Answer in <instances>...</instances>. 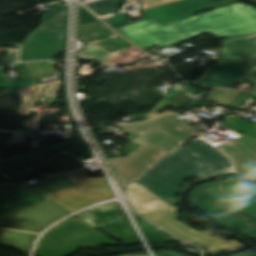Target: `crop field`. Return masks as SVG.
<instances>
[{"mask_svg": "<svg viewBox=\"0 0 256 256\" xmlns=\"http://www.w3.org/2000/svg\"><path fill=\"white\" fill-rule=\"evenodd\" d=\"M115 30L145 50L155 43L165 47L205 32L225 37L256 32V9L238 3L166 26L151 19Z\"/></svg>", "mask_w": 256, "mask_h": 256, "instance_id": "obj_1", "label": "crop field"}, {"mask_svg": "<svg viewBox=\"0 0 256 256\" xmlns=\"http://www.w3.org/2000/svg\"><path fill=\"white\" fill-rule=\"evenodd\" d=\"M190 177H209L196 157L181 148L165 157L136 183L164 201L175 202L179 185Z\"/></svg>", "mask_w": 256, "mask_h": 256, "instance_id": "obj_2", "label": "crop field"}, {"mask_svg": "<svg viewBox=\"0 0 256 256\" xmlns=\"http://www.w3.org/2000/svg\"><path fill=\"white\" fill-rule=\"evenodd\" d=\"M119 245L80 218L67 219L40 240L35 256H68L79 247Z\"/></svg>", "mask_w": 256, "mask_h": 256, "instance_id": "obj_3", "label": "crop field"}, {"mask_svg": "<svg viewBox=\"0 0 256 256\" xmlns=\"http://www.w3.org/2000/svg\"><path fill=\"white\" fill-rule=\"evenodd\" d=\"M37 189L9 183L0 185V216L47 200L44 195L75 186L67 174L48 178Z\"/></svg>", "mask_w": 256, "mask_h": 256, "instance_id": "obj_4", "label": "crop field"}, {"mask_svg": "<svg viewBox=\"0 0 256 256\" xmlns=\"http://www.w3.org/2000/svg\"><path fill=\"white\" fill-rule=\"evenodd\" d=\"M192 205L226 229L234 228L256 239V216L239 210L221 200L190 190ZM256 256V253L250 255Z\"/></svg>", "mask_w": 256, "mask_h": 256, "instance_id": "obj_5", "label": "crop field"}, {"mask_svg": "<svg viewBox=\"0 0 256 256\" xmlns=\"http://www.w3.org/2000/svg\"><path fill=\"white\" fill-rule=\"evenodd\" d=\"M68 175L77 186L46 196L71 212L112 196L104 178H89L84 170Z\"/></svg>", "mask_w": 256, "mask_h": 256, "instance_id": "obj_6", "label": "crop field"}, {"mask_svg": "<svg viewBox=\"0 0 256 256\" xmlns=\"http://www.w3.org/2000/svg\"><path fill=\"white\" fill-rule=\"evenodd\" d=\"M176 207L170 204H162L153 213L144 215L143 217L158 224L167 232L191 242H195L203 246L208 254L221 252L225 250L236 249L240 244L234 240L224 241L222 239H215L196 232L176 221ZM157 225V226H158Z\"/></svg>", "mask_w": 256, "mask_h": 256, "instance_id": "obj_7", "label": "crop field"}, {"mask_svg": "<svg viewBox=\"0 0 256 256\" xmlns=\"http://www.w3.org/2000/svg\"><path fill=\"white\" fill-rule=\"evenodd\" d=\"M50 200L0 217V227L39 233L51 223L69 214Z\"/></svg>", "mask_w": 256, "mask_h": 256, "instance_id": "obj_8", "label": "crop field"}, {"mask_svg": "<svg viewBox=\"0 0 256 256\" xmlns=\"http://www.w3.org/2000/svg\"><path fill=\"white\" fill-rule=\"evenodd\" d=\"M234 0H180L156 8L143 11L144 18L133 21L155 18L164 25L175 22L177 20L191 16L193 12L204 10L208 7L230 3ZM209 9V8H208ZM107 24L113 29L123 25L130 24L124 13H119L116 16L106 20Z\"/></svg>", "mask_w": 256, "mask_h": 256, "instance_id": "obj_9", "label": "crop field"}, {"mask_svg": "<svg viewBox=\"0 0 256 256\" xmlns=\"http://www.w3.org/2000/svg\"><path fill=\"white\" fill-rule=\"evenodd\" d=\"M168 154L170 153L141 146L127 157L112 158L108 161L123 185L130 187Z\"/></svg>", "mask_w": 256, "mask_h": 256, "instance_id": "obj_10", "label": "crop field"}, {"mask_svg": "<svg viewBox=\"0 0 256 256\" xmlns=\"http://www.w3.org/2000/svg\"><path fill=\"white\" fill-rule=\"evenodd\" d=\"M77 216L125 244L138 243L116 204L94 207L78 213Z\"/></svg>", "mask_w": 256, "mask_h": 256, "instance_id": "obj_11", "label": "crop field"}, {"mask_svg": "<svg viewBox=\"0 0 256 256\" xmlns=\"http://www.w3.org/2000/svg\"><path fill=\"white\" fill-rule=\"evenodd\" d=\"M63 41L64 31H33L22 43L20 60L53 58L63 51Z\"/></svg>", "mask_w": 256, "mask_h": 256, "instance_id": "obj_12", "label": "crop field"}, {"mask_svg": "<svg viewBox=\"0 0 256 256\" xmlns=\"http://www.w3.org/2000/svg\"><path fill=\"white\" fill-rule=\"evenodd\" d=\"M216 148L232 159L234 167L230 172L240 176L256 177V139L245 135Z\"/></svg>", "mask_w": 256, "mask_h": 256, "instance_id": "obj_13", "label": "crop field"}, {"mask_svg": "<svg viewBox=\"0 0 256 256\" xmlns=\"http://www.w3.org/2000/svg\"><path fill=\"white\" fill-rule=\"evenodd\" d=\"M250 80L251 91L255 92L256 69L235 70L221 67L208 66L201 79L193 82L201 86L232 88L235 81Z\"/></svg>", "mask_w": 256, "mask_h": 256, "instance_id": "obj_14", "label": "crop field"}, {"mask_svg": "<svg viewBox=\"0 0 256 256\" xmlns=\"http://www.w3.org/2000/svg\"><path fill=\"white\" fill-rule=\"evenodd\" d=\"M47 83L25 88L23 90L17 91L20 94L22 103L17 112L19 115L30 116L35 104L37 101L47 102L46 99L49 98L50 100L47 103L53 104L55 99L57 98V93L62 86L61 80L49 82L47 87L45 88ZM37 91L35 92L36 88ZM45 88L44 92L42 93L43 89ZM35 92V93H34ZM42 93V95H41ZM41 95V97H40ZM40 97V99H39Z\"/></svg>", "mask_w": 256, "mask_h": 256, "instance_id": "obj_15", "label": "crop field"}, {"mask_svg": "<svg viewBox=\"0 0 256 256\" xmlns=\"http://www.w3.org/2000/svg\"><path fill=\"white\" fill-rule=\"evenodd\" d=\"M221 184L225 201L241 204L239 207L256 214V198H253L256 196V185L232 181H221Z\"/></svg>", "mask_w": 256, "mask_h": 256, "instance_id": "obj_16", "label": "crop field"}, {"mask_svg": "<svg viewBox=\"0 0 256 256\" xmlns=\"http://www.w3.org/2000/svg\"><path fill=\"white\" fill-rule=\"evenodd\" d=\"M223 58L256 62V34L222 40Z\"/></svg>", "mask_w": 256, "mask_h": 256, "instance_id": "obj_17", "label": "crop field"}, {"mask_svg": "<svg viewBox=\"0 0 256 256\" xmlns=\"http://www.w3.org/2000/svg\"><path fill=\"white\" fill-rule=\"evenodd\" d=\"M185 147L200 157L210 176L217 175L219 171L231 166V163L227 158H225L203 140H197Z\"/></svg>", "mask_w": 256, "mask_h": 256, "instance_id": "obj_18", "label": "crop field"}, {"mask_svg": "<svg viewBox=\"0 0 256 256\" xmlns=\"http://www.w3.org/2000/svg\"><path fill=\"white\" fill-rule=\"evenodd\" d=\"M130 142L167 152L175 149L183 143L156 127L137 136Z\"/></svg>", "mask_w": 256, "mask_h": 256, "instance_id": "obj_19", "label": "crop field"}, {"mask_svg": "<svg viewBox=\"0 0 256 256\" xmlns=\"http://www.w3.org/2000/svg\"><path fill=\"white\" fill-rule=\"evenodd\" d=\"M157 127L163 129L181 141H186L193 136H199L205 132H197L191 127L184 124L183 120L176 117V115H165L149 121Z\"/></svg>", "mask_w": 256, "mask_h": 256, "instance_id": "obj_20", "label": "crop field"}, {"mask_svg": "<svg viewBox=\"0 0 256 256\" xmlns=\"http://www.w3.org/2000/svg\"><path fill=\"white\" fill-rule=\"evenodd\" d=\"M126 194L129 196V200L135 210L142 215L154 211L158 206L164 203V201L151 195L145 188L135 183L126 190Z\"/></svg>", "mask_w": 256, "mask_h": 256, "instance_id": "obj_21", "label": "crop field"}, {"mask_svg": "<svg viewBox=\"0 0 256 256\" xmlns=\"http://www.w3.org/2000/svg\"><path fill=\"white\" fill-rule=\"evenodd\" d=\"M37 234L0 229V244L29 255Z\"/></svg>", "mask_w": 256, "mask_h": 256, "instance_id": "obj_22", "label": "crop field"}, {"mask_svg": "<svg viewBox=\"0 0 256 256\" xmlns=\"http://www.w3.org/2000/svg\"><path fill=\"white\" fill-rule=\"evenodd\" d=\"M51 161L52 160L49 159L31 158L27 154H23L9 158L8 161L0 164V169L47 167L50 165ZM10 180V178H8L6 175L0 172V184L8 182Z\"/></svg>", "mask_w": 256, "mask_h": 256, "instance_id": "obj_23", "label": "crop field"}, {"mask_svg": "<svg viewBox=\"0 0 256 256\" xmlns=\"http://www.w3.org/2000/svg\"><path fill=\"white\" fill-rule=\"evenodd\" d=\"M66 6H58L52 13L43 16L40 27L37 30H64ZM61 24L62 26H59Z\"/></svg>", "mask_w": 256, "mask_h": 256, "instance_id": "obj_24", "label": "crop field"}, {"mask_svg": "<svg viewBox=\"0 0 256 256\" xmlns=\"http://www.w3.org/2000/svg\"><path fill=\"white\" fill-rule=\"evenodd\" d=\"M15 68L20 69L21 73L23 74L24 80L7 82L5 77L2 74L3 68H0V87L1 88H12V89L20 90L22 88L35 85L25 63L17 64Z\"/></svg>", "mask_w": 256, "mask_h": 256, "instance_id": "obj_25", "label": "crop field"}, {"mask_svg": "<svg viewBox=\"0 0 256 256\" xmlns=\"http://www.w3.org/2000/svg\"><path fill=\"white\" fill-rule=\"evenodd\" d=\"M32 77L52 76L56 74V69L52 61L26 63Z\"/></svg>", "mask_w": 256, "mask_h": 256, "instance_id": "obj_26", "label": "crop field"}, {"mask_svg": "<svg viewBox=\"0 0 256 256\" xmlns=\"http://www.w3.org/2000/svg\"><path fill=\"white\" fill-rule=\"evenodd\" d=\"M120 0H105L97 3L87 4L86 6L98 16L114 13Z\"/></svg>", "mask_w": 256, "mask_h": 256, "instance_id": "obj_27", "label": "crop field"}, {"mask_svg": "<svg viewBox=\"0 0 256 256\" xmlns=\"http://www.w3.org/2000/svg\"><path fill=\"white\" fill-rule=\"evenodd\" d=\"M52 151H66V152L73 154L76 157L85 156V155L90 154L85 142L56 145L52 149Z\"/></svg>", "mask_w": 256, "mask_h": 256, "instance_id": "obj_28", "label": "crop field"}, {"mask_svg": "<svg viewBox=\"0 0 256 256\" xmlns=\"http://www.w3.org/2000/svg\"><path fill=\"white\" fill-rule=\"evenodd\" d=\"M140 225L146 231L147 235L149 236L151 242H173L176 241L175 239L171 238L170 236L160 232L159 230L153 228L146 222H141Z\"/></svg>", "mask_w": 256, "mask_h": 256, "instance_id": "obj_29", "label": "crop field"}, {"mask_svg": "<svg viewBox=\"0 0 256 256\" xmlns=\"http://www.w3.org/2000/svg\"><path fill=\"white\" fill-rule=\"evenodd\" d=\"M194 189L222 200L218 181L204 183Z\"/></svg>", "mask_w": 256, "mask_h": 256, "instance_id": "obj_30", "label": "crop field"}, {"mask_svg": "<svg viewBox=\"0 0 256 256\" xmlns=\"http://www.w3.org/2000/svg\"><path fill=\"white\" fill-rule=\"evenodd\" d=\"M219 66L235 69H252L256 68V63L222 59Z\"/></svg>", "mask_w": 256, "mask_h": 256, "instance_id": "obj_31", "label": "crop field"}, {"mask_svg": "<svg viewBox=\"0 0 256 256\" xmlns=\"http://www.w3.org/2000/svg\"><path fill=\"white\" fill-rule=\"evenodd\" d=\"M96 22H100V20L88 12L84 7L79 5V27Z\"/></svg>", "mask_w": 256, "mask_h": 256, "instance_id": "obj_32", "label": "crop field"}, {"mask_svg": "<svg viewBox=\"0 0 256 256\" xmlns=\"http://www.w3.org/2000/svg\"><path fill=\"white\" fill-rule=\"evenodd\" d=\"M152 127H154V125H152L148 122H145V123H141V124L123 125L122 129L128 133L140 134ZM133 128H136V129L134 130Z\"/></svg>", "mask_w": 256, "mask_h": 256, "instance_id": "obj_33", "label": "crop field"}, {"mask_svg": "<svg viewBox=\"0 0 256 256\" xmlns=\"http://www.w3.org/2000/svg\"><path fill=\"white\" fill-rule=\"evenodd\" d=\"M170 105H174L176 107H179L165 99H161L157 104L156 107L152 110V112L148 113L147 115L152 118L155 116H158V114H156L159 110L163 109L164 107L170 106Z\"/></svg>", "mask_w": 256, "mask_h": 256, "instance_id": "obj_34", "label": "crop field"}, {"mask_svg": "<svg viewBox=\"0 0 256 256\" xmlns=\"http://www.w3.org/2000/svg\"><path fill=\"white\" fill-rule=\"evenodd\" d=\"M17 51H12L8 53L7 57L0 58V66L14 63L16 61Z\"/></svg>", "mask_w": 256, "mask_h": 256, "instance_id": "obj_35", "label": "crop field"}, {"mask_svg": "<svg viewBox=\"0 0 256 256\" xmlns=\"http://www.w3.org/2000/svg\"><path fill=\"white\" fill-rule=\"evenodd\" d=\"M158 256H187L181 253H177L174 251H166V250H162L158 252Z\"/></svg>", "mask_w": 256, "mask_h": 256, "instance_id": "obj_36", "label": "crop field"}, {"mask_svg": "<svg viewBox=\"0 0 256 256\" xmlns=\"http://www.w3.org/2000/svg\"><path fill=\"white\" fill-rule=\"evenodd\" d=\"M133 118L134 119L143 120V121L149 119V117L147 115L143 114V113L138 114V115H134Z\"/></svg>", "mask_w": 256, "mask_h": 256, "instance_id": "obj_37", "label": "crop field"}, {"mask_svg": "<svg viewBox=\"0 0 256 256\" xmlns=\"http://www.w3.org/2000/svg\"><path fill=\"white\" fill-rule=\"evenodd\" d=\"M125 256H146V255H125Z\"/></svg>", "mask_w": 256, "mask_h": 256, "instance_id": "obj_38", "label": "crop field"}, {"mask_svg": "<svg viewBox=\"0 0 256 256\" xmlns=\"http://www.w3.org/2000/svg\"><path fill=\"white\" fill-rule=\"evenodd\" d=\"M256 127V124H253Z\"/></svg>", "mask_w": 256, "mask_h": 256, "instance_id": "obj_39", "label": "crop field"}]
</instances>
